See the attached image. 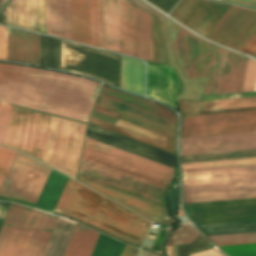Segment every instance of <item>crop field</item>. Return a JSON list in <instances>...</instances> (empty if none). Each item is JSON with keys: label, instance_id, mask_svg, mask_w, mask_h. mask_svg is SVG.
Returning <instances> with one entry per match:
<instances>
[{"label": "crop field", "instance_id": "obj_1", "mask_svg": "<svg viewBox=\"0 0 256 256\" xmlns=\"http://www.w3.org/2000/svg\"><path fill=\"white\" fill-rule=\"evenodd\" d=\"M100 84L0 63V101L87 122Z\"/></svg>", "mask_w": 256, "mask_h": 256}, {"label": "crop field", "instance_id": "obj_2", "mask_svg": "<svg viewBox=\"0 0 256 256\" xmlns=\"http://www.w3.org/2000/svg\"><path fill=\"white\" fill-rule=\"evenodd\" d=\"M171 23L172 46L185 78L207 79L203 95L236 92L244 56Z\"/></svg>", "mask_w": 256, "mask_h": 256}, {"label": "crop field", "instance_id": "obj_3", "mask_svg": "<svg viewBox=\"0 0 256 256\" xmlns=\"http://www.w3.org/2000/svg\"><path fill=\"white\" fill-rule=\"evenodd\" d=\"M78 184L79 183L75 182L74 180L69 179L54 212L63 214V215L68 213L70 215L76 216L78 218H81L83 220L89 221L91 223L97 224L99 226H102L104 228L110 229L112 231H115L117 233H120L126 236L133 212L125 209L124 207L118 204H114L115 202L99 195L98 193L82 185H79L75 194L81 196L82 198L90 201L91 203L97 206L107 205V204H114V205L97 207L91 204L90 202L74 194ZM76 207H80L82 209H85L89 212L96 214V221H94L95 220L94 214L89 213L80 208L69 210V211L94 219V220L66 211L68 209H72ZM68 214H66V216L78 219ZM81 219H78V220H81ZM143 220L144 218L136 214H133V218L131 221V225H130L127 237L117 234L115 232H112L110 230L104 229L102 227L96 226L89 222H86V221H83V222L132 244ZM150 225H151V222L145 219L133 244L139 245V246L141 245Z\"/></svg>", "mask_w": 256, "mask_h": 256}, {"label": "crop field", "instance_id": "obj_4", "mask_svg": "<svg viewBox=\"0 0 256 256\" xmlns=\"http://www.w3.org/2000/svg\"><path fill=\"white\" fill-rule=\"evenodd\" d=\"M103 48L152 61L151 15L127 0H101Z\"/></svg>", "mask_w": 256, "mask_h": 256}, {"label": "crop field", "instance_id": "obj_5", "mask_svg": "<svg viewBox=\"0 0 256 256\" xmlns=\"http://www.w3.org/2000/svg\"><path fill=\"white\" fill-rule=\"evenodd\" d=\"M184 203L256 197V165L182 171Z\"/></svg>", "mask_w": 256, "mask_h": 256}, {"label": "crop field", "instance_id": "obj_6", "mask_svg": "<svg viewBox=\"0 0 256 256\" xmlns=\"http://www.w3.org/2000/svg\"><path fill=\"white\" fill-rule=\"evenodd\" d=\"M57 219L11 203L0 230V256H43Z\"/></svg>", "mask_w": 256, "mask_h": 256}, {"label": "crop field", "instance_id": "obj_7", "mask_svg": "<svg viewBox=\"0 0 256 256\" xmlns=\"http://www.w3.org/2000/svg\"><path fill=\"white\" fill-rule=\"evenodd\" d=\"M83 159L167 188L174 170L104 144L85 140Z\"/></svg>", "mask_w": 256, "mask_h": 256}, {"label": "crop field", "instance_id": "obj_8", "mask_svg": "<svg viewBox=\"0 0 256 256\" xmlns=\"http://www.w3.org/2000/svg\"><path fill=\"white\" fill-rule=\"evenodd\" d=\"M86 127L53 116L43 162L75 178Z\"/></svg>", "mask_w": 256, "mask_h": 256}, {"label": "crop field", "instance_id": "obj_9", "mask_svg": "<svg viewBox=\"0 0 256 256\" xmlns=\"http://www.w3.org/2000/svg\"><path fill=\"white\" fill-rule=\"evenodd\" d=\"M51 118V115L13 105L4 145L42 160Z\"/></svg>", "mask_w": 256, "mask_h": 256}, {"label": "crop field", "instance_id": "obj_10", "mask_svg": "<svg viewBox=\"0 0 256 256\" xmlns=\"http://www.w3.org/2000/svg\"><path fill=\"white\" fill-rule=\"evenodd\" d=\"M52 168L17 153L0 188V196L36 203Z\"/></svg>", "mask_w": 256, "mask_h": 256}, {"label": "crop field", "instance_id": "obj_11", "mask_svg": "<svg viewBox=\"0 0 256 256\" xmlns=\"http://www.w3.org/2000/svg\"><path fill=\"white\" fill-rule=\"evenodd\" d=\"M66 44L91 50L94 52L106 54L114 58V55L111 53L103 52L100 50L92 49L89 47H85V46H81L78 44L61 40L60 70L86 75V76L101 80L103 82L109 83L111 85H112L111 82H113L114 86L120 88L121 56L115 55V59H113L106 55H102V54H98V53H94L91 51L70 46L71 48H73L75 51H77L79 54L83 56V58L80 59L82 56H80L78 53H76ZM78 59L80 60L78 61ZM64 64L73 65V66L76 65V67L65 65V68L67 69L88 73V74L106 79L111 82L105 81L103 79H100L91 75L64 69Z\"/></svg>", "mask_w": 256, "mask_h": 256}, {"label": "crop field", "instance_id": "obj_12", "mask_svg": "<svg viewBox=\"0 0 256 256\" xmlns=\"http://www.w3.org/2000/svg\"><path fill=\"white\" fill-rule=\"evenodd\" d=\"M79 178L166 208V190L119 172L81 161Z\"/></svg>", "mask_w": 256, "mask_h": 256}, {"label": "crop field", "instance_id": "obj_13", "mask_svg": "<svg viewBox=\"0 0 256 256\" xmlns=\"http://www.w3.org/2000/svg\"><path fill=\"white\" fill-rule=\"evenodd\" d=\"M256 131V111L182 117L181 138Z\"/></svg>", "mask_w": 256, "mask_h": 256}, {"label": "crop field", "instance_id": "obj_14", "mask_svg": "<svg viewBox=\"0 0 256 256\" xmlns=\"http://www.w3.org/2000/svg\"><path fill=\"white\" fill-rule=\"evenodd\" d=\"M256 33V11L231 5L207 39L239 52Z\"/></svg>", "mask_w": 256, "mask_h": 256}, {"label": "crop field", "instance_id": "obj_15", "mask_svg": "<svg viewBox=\"0 0 256 256\" xmlns=\"http://www.w3.org/2000/svg\"><path fill=\"white\" fill-rule=\"evenodd\" d=\"M229 6L206 0H181L170 16L206 38Z\"/></svg>", "mask_w": 256, "mask_h": 256}, {"label": "crop field", "instance_id": "obj_16", "mask_svg": "<svg viewBox=\"0 0 256 256\" xmlns=\"http://www.w3.org/2000/svg\"><path fill=\"white\" fill-rule=\"evenodd\" d=\"M72 40L101 47L100 0H72Z\"/></svg>", "mask_w": 256, "mask_h": 256}, {"label": "crop field", "instance_id": "obj_17", "mask_svg": "<svg viewBox=\"0 0 256 256\" xmlns=\"http://www.w3.org/2000/svg\"><path fill=\"white\" fill-rule=\"evenodd\" d=\"M94 111L127 121L175 139L176 123L97 96Z\"/></svg>", "mask_w": 256, "mask_h": 256}, {"label": "crop field", "instance_id": "obj_18", "mask_svg": "<svg viewBox=\"0 0 256 256\" xmlns=\"http://www.w3.org/2000/svg\"><path fill=\"white\" fill-rule=\"evenodd\" d=\"M256 148V132L183 139V155Z\"/></svg>", "mask_w": 256, "mask_h": 256}, {"label": "crop field", "instance_id": "obj_19", "mask_svg": "<svg viewBox=\"0 0 256 256\" xmlns=\"http://www.w3.org/2000/svg\"><path fill=\"white\" fill-rule=\"evenodd\" d=\"M178 77L172 67L148 63L147 97L172 108L177 97Z\"/></svg>", "mask_w": 256, "mask_h": 256}, {"label": "crop field", "instance_id": "obj_20", "mask_svg": "<svg viewBox=\"0 0 256 256\" xmlns=\"http://www.w3.org/2000/svg\"><path fill=\"white\" fill-rule=\"evenodd\" d=\"M89 123L175 154V140L166 136L148 131L120 120H118L116 125L113 126L91 117Z\"/></svg>", "mask_w": 256, "mask_h": 256}, {"label": "crop field", "instance_id": "obj_21", "mask_svg": "<svg viewBox=\"0 0 256 256\" xmlns=\"http://www.w3.org/2000/svg\"><path fill=\"white\" fill-rule=\"evenodd\" d=\"M71 0H45L46 34L71 40Z\"/></svg>", "mask_w": 256, "mask_h": 256}, {"label": "crop field", "instance_id": "obj_22", "mask_svg": "<svg viewBox=\"0 0 256 256\" xmlns=\"http://www.w3.org/2000/svg\"><path fill=\"white\" fill-rule=\"evenodd\" d=\"M16 33L15 29L7 28ZM23 32V31H19ZM13 34L7 30V60L22 62H39V37L31 34ZM26 62V63H28ZM36 65H39L36 64Z\"/></svg>", "mask_w": 256, "mask_h": 256}, {"label": "crop field", "instance_id": "obj_23", "mask_svg": "<svg viewBox=\"0 0 256 256\" xmlns=\"http://www.w3.org/2000/svg\"><path fill=\"white\" fill-rule=\"evenodd\" d=\"M78 181L90 186L91 188L103 193L104 195L116 200L117 202L129 207L130 209L142 214L143 216L163 223H173L174 221L166 215L165 209L137 200L135 198L123 195L121 193L109 190L96 184L84 181L78 178Z\"/></svg>", "mask_w": 256, "mask_h": 256}, {"label": "crop field", "instance_id": "obj_24", "mask_svg": "<svg viewBox=\"0 0 256 256\" xmlns=\"http://www.w3.org/2000/svg\"><path fill=\"white\" fill-rule=\"evenodd\" d=\"M7 25L38 30L37 0H12L6 7Z\"/></svg>", "mask_w": 256, "mask_h": 256}, {"label": "crop field", "instance_id": "obj_25", "mask_svg": "<svg viewBox=\"0 0 256 256\" xmlns=\"http://www.w3.org/2000/svg\"><path fill=\"white\" fill-rule=\"evenodd\" d=\"M145 63L122 56L121 89L144 96Z\"/></svg>", "mask_w": 256, "mask_h": 256}, {"label": "crop field", "instance_id": "obj_26", "mask_svg": "<svg viewBox=\"0 0 256 256\" xmlns=\"http://www.w3.org/2000/svg\"><path fill=\"white\" fill-rule=\"evenodd\" d=\"M214 244L256 242V233L208 237ZM230 256H256V243L218 246Z\"/></svg>", "mask_w": 256, "mask_h": 256}, {"label": "crop field", "instance_id": "obj_27", "mask_svg": "<svg viewBox=\"0 0 256 256\" xmlns=\"http://www.w3.org/2000/svg\"><path fill=\"white\" fill-rule=\"evenodd\" d=\"M99 235L77 224L63 256H91Z\"/></svg>", "mask_w": 256, "mask_h": 256}, {"label": "crop field", "instance_id": "obj_28", "mask_svg": "<svg viewBox=\"0 0 256 256\" xmlns=\"http://www.w3.org/2000/svg\"><path fill=\"white\" fill-rule=\"evenodd\" d=\"M102 89H103V93L101 95L104 97L113 99L115 101L124 103L126 105L135 107L137 109L149 112L151 114L160 116L162 118H165V119H168V120H171V121L177 123V119L172 112L168 111L167 109H165L153 102H149V101L135 98V97H132L129 95H125V94L119 93L115 90L109 89L104 86L102 87ZM101 92H102V90L100 89L98 94H100Z\"/></svg>", "mask_w": 256, "mask_h": 256}, {"label": "crop field", "instance_id": "obj_29", "mask_svg": "<svg viewBox=\"0 0 256 256\" xmlns=\"http://www.w3.org/2000/svg\"><path fill=\"white\" fill-rule=\"evenodd\" d=\"M68 179L67 176L52 170L35 207L52 213Z\"/></svg>", "mask_w": 256, "mask_h": 256}, {"label": "crop field", "instance_id": "obj_30", "mask_svg": "<svg viewBox=\"0 0 256 256\" xmlns=\"http://www.w3.org/2000/svg\"><path fill=\"white\" fill-rule=\"evenodd\" d=\"M256 106V98H243V99H231V100H218V101H206V102H189L181 100L179 103L180 113L196 112V111H208L241 107Z\"/></svg>", "mask_w": 256, "mask_h": 256}, {"label": "crop field", "instance_id": "obj_31", "mask_svg": "<svg viewBox=\"0 0 256 256\" xmlns=\"http://www.w3.org/2000/svg\"><path fill=\"white\" fill-rule=\"evenodd\" d=\"M165 23L166 21L152 14L153 62L169 65L164 47Z\"/></svg>", "mask_w": 256, "mask_h": 256}, {"label": "crop field", "instance_id": "obj_32", "mask_svg": "<svg viewBox=\"0 0 256 256\" xmlns=\"http://www.w3.org/2000/svg\"><path fill=\"white\" fill-rule=\"evenodd\" d=\"M244 157H256V149L255 150H244V151L181 156V163L244 158Z\"/></svg>", "mask_w": 256, "mask_h": 256}, {"label": "crop field", "instance_id": "obj_33", "mask_svg": "<svg viewBox=\"0 0 256 256\" xmlns=\"http://www.w3.org/2000/svg\"><path fill=\"white\" fill-rule=\"evenodd\" d=\"M198 235L197 230L187 225H181L179 229L173 232L166 246L168 256H176V245L191 243Z\"/></svg>", "mask_w": 256, "mask_h": 256}, {"label": "crop field", "instance_id": "obj_34", "mask_svg": "<svg viewBox=\"0 0 256 256\" xmlns=\"http://www.w3.org/2000/svg\"><path fill=\"white\" fill-rule=\"evenodd\" d=\"M245 164H256V158L210 161V162H199V163H187V164H182V170L210 168V167H222V166H234V165H245Z\"/></svg>", "mask_w": 256, "mask_h": 256}, {"label": "crop field", "instance_id": "obj_35", "mask_svg": "<svg viewBox=\"0 0 256 256\" xmlns=\"http://www.w3.org/2000/svg\"><path fill=\"white\" fill-rule=\"evenodd\" d=\"M15 154H16V151L0 146V186Z\"/></svg>", "mask_w": 256, "mask_h": 256}, {"label": "crop field", "instance_id": "obj_36", "mask_svg": "<svg viewBox=\"0 0 256 256\" xmlns=\"http://www.w3.org/2000/svg\"><path fill=\"white\" fill-rule=\"evenodd\" d=\"M256 84V63L249 59L242 92L254 91Z\"/></svg>", "mask_w": 256, "mask_h": 256}, {"label": "crop field", "instance_id": "obj_37", "mask_svg": "<svg viewBox=\"0 0 256 256\" xmlns=\"http://www.w3.org/2000/svg\"><path fill=\"white\" fill-rule=\"evenodd\" d=\"M12 105L0 103V144L3 145Z\"/></svg>", "mask_w": 256, "mask_h": 256}, {"label": "crop field", "instance_id": "obj_38", "mask_svg": "<svg viewBox=\"0 0 256 256\" xmlns=\"http://www.w3.org/2000/svg\"><path fill=\"white\" fill-rule=\"evenodd\" d=\"M156 7L160 8L166 14L171 10L177 0H146Z\"/></svg>", "mask_w": 256, "mask_h": 256}, {"label": "crop field", "instance_id": "obj_39", "mask_svg": "<svg viewBox=\"0 0 256 256\" xmlns=\"http://www.w3.org/2000/svg\"><path fill=\"white\" fill-rule=\"evenodd\" d=\"M255 96H256V92H254V93H243V94L220 95V96H209V97H202L201 101L218 100V99H230V98H243V97H255Z\"/></svg>", "mask_w": 256, "mask_h": 256}, {"label": "crop field", "instance_id": "obj_40", "mask_svg": "<svg viewBox=\"0 0 256 256\" xmlns=\"http://www.w3.org/2000/svg\"><path fill=\"white\" fill-rule=\"evenodd\" d=\"M39 32L45 34L44 0H38Z\"/></svg>", "mask_w": 256, "mask_h": 256}, {"label": "crop field", "instance_id": "obj_41", "mask_svg": "<svg viewBox=\"0 0 256 256\" xmlns=\"http://www.w3.org/2000/svg\"><path fill=\"white\" fill-rule=\"evenodd\" d=\"M0 59L6 60V28L0 27Z\"/></svg>", "mask_w": 256, "mask_h": 256}, {"label": "crop field", "instance_id": "obj_42", "mask_svg": "<svg viewBox=\"0 0 256 256\" xmlns=\"http://www.w3.org/2000/svg\"><path fill=\"white\" fill-rule=\"evenodd\" d=\"M255 51H256V34L251 39V41L247 44V46L243 49L242 53L252 56Z\"/></svg>", "mask_w": 256, "mask_h": 256}, {"label": "crop field", "instance_id": "obj_43", "mask_svg": "<svg viewBox=\"0 0 256 256\" xmlns=\"http://www.w3.org/2000/svg\"><path fill=\"white\" fill-rule=\"evenodd\" d=\"M138 251L139 249L132 248L126 245L121 256H136Z\"/></svg>", "mask_w": 256, "mask_h": 256}, {"label": "crop field", "instance_id": "obj_44", "mask_svg": "<svg viewBox=\"0 0 256 256\" xmlns=\"http://www.w3.org/2000/svg\"><path fill=\"white\" fill-rule=\"evenodd\" d=\"M247 60H248V59L245 58V61H244L243 66H242V70H241V75H240V80H239V85H238V90H237V92H241V90H242V85H243V80H244V75H245Z\"/></svg>", "mask_w": 256, "mask_h": 256}, {"label": "crop field", "instance_id": "obj_45", "mask_svg": "<svg viewBox=\"0 0 256 256\" xmlns=\"http://www.w3.org/2000/svg\"><path fill=\"white\" fill-rule=\"evenodd\" d=\"M190 256H222V255L218 253L216 250L212 249V250L192 254Z\"/></svg>", "mask_w": 256, "mask_h": 256}, {"label": "crop field", "instance_id": "obj_46", "mask_svg": "<svg viewBox=\"0 0 256 256\" xmlns=\"http://www.w3.org/2000/svg\"><path fill=\"white\" fill-rule=\"evenodd\" d=\"M10 203H1L0 202V227L5 217L6 211Z\"/></svg>", "mask_w": 256, "mask_h": 256}, {"label": "crop field", "instance_id": "obj_47", "mask_svg": "<svg viewBox=\"0 0 256 256\" xmlns=\"http://www.w3.org/2000/svg\"><path fill=\"white\" fill-rule=\"evenodd\" d=\"M231 1H235V2H239V3H243V4H247V5L256 7V0H231Z\"/></svg>", "mask_w": 256, "mask_h": 256}, {"label": "crop field", "instance_id": "obj_48", "mask_svg": "<svg viewBox=\"0 0 256 256\" xmlns=\"http://www.w3.org/2000/svg\"><path fill=\"white\" fill-rule=\"evenodd\" d=\"M139 256H158V255H155V254L149 253L147 251L141 250Z\"/></svg>", "mask_w": 256, "mask_h": 256}, {"label": "crop field", "instance_id": "obj_49", "mask_svg": "<svg viewBox=\"0 0 256 256\" xmlns=\"http://www.w3.org/2000/svg\"><path fill=\"white\" fill-rule=\"evenodd\" d=\"M151 231L157 233L158 230L151 229ZM149 235H150V234H149ZM150 236H154V235H150ZM148 237H149V236H148ZM154 237H155V236H154ZM150 238H153V237H150ZM147 239H148V238H147ZM148 240H152V239H148ZM152 241H153V240H152ZM150 245H152V244L145 242L144 247L149 248Z\"/></svg>", "mask_w": 256, "mask_h": 256}, {"label": "crop field", "instance_id": "obj_50", "mask_svg": "<svg viewBox=\"0 0 256 256\" xmlns=\"http://www.w3.org/2000/svg\"><path fill=\"white\" fill-rule=\"evenodd\" d=\"M180 203H181V198H180ZM188 225H191V226H193L191 222H188Z\"/></svg>", "mask_w": 256, "mask_h": 256}, {"label": "crop field", "instance_id": "obj_51", "mask_svg": "<svg viewBox=\"0 0 256 256\" xmlns=\"http://www.w3.org/2000/svg\"><path fill=\"white\" fill-rule=\"evenodd\" d=\"M5 0H0V5L4 2Z\"/></svg>", "mask_w": 256, "mask_h": 256}, {"label": "crop field", "instance_id": "obj_52", "mask_svg": "<svg viewBox=\"0 0 256 256\" xmlns=\"http://www.w3.org/2000/svg\"><path fill=\"white\" fill-rule=\"evenodd\" d=\"M254 57H256V55Z\"/></svg>", "mask_w": 256, "mask_h": 256}, {"label": "crop field", "instance_id": "obj_53", "mask_svg": "<svg viewBox=\"0 0 256 256\" xmlns=\"http://www.w3.org/2000/svg\"><path fill=\"white\" fill-rule=\"evenodd\" d=\"M255 91H256V89H255Z\"/></svg>", "mask_w": 256, "mask_h": 256}]
</instances>
